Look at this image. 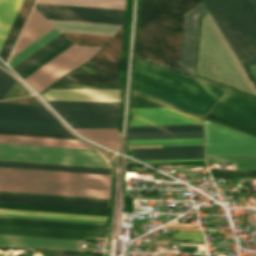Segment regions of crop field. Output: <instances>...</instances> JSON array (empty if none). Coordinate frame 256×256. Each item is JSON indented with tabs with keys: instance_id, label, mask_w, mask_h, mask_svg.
I'll return each mask as SVG.
<instances>
[{
	"instance_id": "8a807250",
	"label": "crop field",
	"mask_w": 256,
	"mask_h": 256,
	"mask_svg": "<svg viewBox=\"0 0 256 256\" xmlns=\"http://www.w3.org/2000/svg\"><path fill=\"white\" fill-rule=\"evenodd\" d=\"M225 88L136 59L132 94L203 118Z\"/></svg>"
},
{
	"instance_id": "ac0d7876",
	"label": "crop field",
	"mask_w": 256,
	"mask_h": 256,
	"mask_svg": "<svg viewBox=\"0 0 256 256\" xmlns=\"http://www.w3.org/2000/svg\"><path fill=\"white\" fill-rule=\"evenodd\" d=\"M199 0H144L136 57L177 71L182 15Z\"/></svg>"
},
{
	"instance_id": "34b2d1b8",
	"label": "crop field",
	"mask_w": 256,
	"mask_h": 256,
	"mask_svg": "<svg viewBox=\"0 0 256 256\" xmlns=\"http://www.w3.org/2000/svg\"><path fill=\"white\" fill-rule=\"evenodd\" d=\"M110 175L0 168V191L108 198Z\"/></svg>"
},
{
	"instance_id": "412701ff",
	"label": "crop field",
	"mask_w": 256,
	"mask_h": 256,
	"mask_svg": "<svg viewBox=\"0 0 256 256\" xmlns=\"http://www.w3.org/2000/svg\"><path fill=\"white\" fill-rule=\"evenodd\" d=\"M207 14L208 13L198 18L193 75L228 86L230 89L256 97V86L253 84L252 88V82L248 75L226 43L225 39L219 32L209 14ZM200 19L202 20L197 73L233 85L235 88L250 93L252 88V94L196 74Z\"/></svg>"
},
{
	"instance_id": "f4fd0767",
	"label": "crop field",
	"mask_w": 256,
	"mask_h": 256,
	"mask_svg": "<svg viewBox=\"0 0 256 256\" xmlns=\"http://www.w3.org/2000/svg\"><path fill=\"white\" fill-rule=\"evenodd\" d=\"M240 61L256 60V0H203Z\"/></svg>"
},
{
	"instance_id": "dd49c442",
	"label": "crop field",
	"mask_w": 256,
	"mask_h": 256,
	"mask_svg": "<svg viewBox=\"0 0 256 256\" xmlns=\"http://www.w3.org/2000/svg\"><path fill=\"white\" fill-rule=\"evenodd\" d=\"M0 161L108 168L98 153L0 146Z\"/></svg>"
},
{
	"instance_id": "e52e79f7",
	"label": "crop field",
	"mask_w": 256,
	"mask_h": 256,
	"mask_svg": "<svg viewBox=\"0 0 256 256\" xmlns=\"http://www.w3.org/2000/svg\"><path fill=\"white\" fill-rule=\"evenodd\" d=\"M69 124L118 125L122 102L47 101Z\"/></svg>"
},
{
	"instance_id": "d8731c3e",
	"label": "crop field",
	"mask_w": 256,
	"mask_h": 256,
	"mask_svg": "<svg viewBox=\"0 0 256 256\" xmlns=\"http://www.w3.org/2000/svg\"><path fill=\"white\" fill-rule=\"evenodd\" d=\"M99 49L74 44L24 80L39 93L61 75L87 62Z\"/></svg>"
},
{
	"instance_id": "5a996713",
	"label": "crop field",
	"mask_w": 256,
	"mask_h": 256,
	"mask_svg": "<svg viewBox=\"0 0 256 256\" xmlns=\"http://www.w3.org/2000/svg\"><path fill=\"white\" fill-rule=\"evenodd\" d=\"M207 155L256 154V138L206 121Z\"/></svg>"
},
{
	"instance_id": "3316defc",
	"label": "crop field",
	"mask_w": 256,
	"mask_h": 256,
	"mask_svg": "<svg viewBox=\"0 0 256 256\" xmlns=\"http://www.w3.org/2000/svg\"><path fill=\"white\" fill-rule=\"evenodd\" d=\"M47 19L123 24L124 10L36 4Z\"/></svg>"
},
{
	"instance_id": "28ad6ade",
	"label": "crop field",
	"mask_w": 256,
	"mask_h": 256,
	"mask_svg": "<svg viewBox=\"0 0 256 256\" xmlns=\"http://www.w3.org/2000/svg\"><path fill=\"white\" fill-rule=\"evenodd\" d=\"M211 113L256 128V99L227 90Z\"/></svg>"
},
{
	"instance_id": "d1516ede",
	"label": "crop field",
	"mask_w": 256,
	"mask_h": 256,
	"mask_svg": "<svg viewBox=\"0 0 256 256\" xmlns=\"http://www.w3.org/2000/svg\"><path fill=\"white\" fill-rule=\"evenodd\" d=\"M129 126L202 124V120L168 107L130 108Z\"/></svg>"
},
{
	"instance_id": "22f410ed",
	"label": "crop field",
	"mask_w": 256,
	"mask_h": 256,
	"mask_svg": "<svg viewBox=\"0 0 256 256\" xmlns=\"http://www.w3.org/2000/svg\"><path fill=\"white\" fill-rule=\"evenodd\" d=\"M205 12L206 10L200 2L183 15L179 70L192 74L197 18Z\"/></svg>"
},
{
	"instance_id": "cbeb9de0",
	"label": "crop field",
	"mask_w": 256,
	"mask_h": 256,
	"mask_svg": "<svg viewBox=\"0 0 256 256\" xmlns=\"http://www.w3.org/2000/svg\"><path fill=\"white\" fill-rule=\"evenodd\" d=\"M0 234L84 240V236L104 237L105 232L0 225Z\"/></svg>"
},
{
	"instance_id": "5142ce71",
	"label": "crop field",
	"mask_w": 256,
	"mask_h": 256,
	"mask_svg": "<svg viewBox=\"0 0 256 256\" xmlns=\"http://www.w3.org/2000/svg\"><path fill=\"white\" fill-rule=\"evenodd\" d=\"M138 160L204 158L203 145L131 149Z\"/></svg>"
},
{
	"instance_id": "d9b57169",
	"label": "crop field",
	"mask_w": 256,
	"mask_h": 256,
	"mask_svg": "<svg viewBox=\"0 0 256 256\" xmlns=\"http://www.w3.org/2000/svg\"><path fill=\"white\" fill-rule=\"evenodd\" d=\"M47 90L49 89L39 94L45 100L119 101L118 90L51 89L46 92ZM119 91L122 101V90Z\"/></svg>"
},
{
	"instance_id": "733c2abd",
	"label": "crop field",
	"mask_w": 256,
	"mask_h": 256,
	"mask_svg": "<svg viewBox=\"0 0 256 256\" xmlns=\"http://www.w3.org/2000/svg\"><path fill=\"white\" fill-rule=\"evenodd\" d=\"M122 29L123 26L112 40L90 61L96 69L115 80H117L116 74L119 58L122 56V52L120 51Z\"/></svg>"
},
{
	"instance_id": "4a817a6b",
	"label": "crop field",
	"mask_w": 256,
	"mask_h": 256,
	"mask_svg": "<svg viewBox=\"0 0 256 256\" xmlns=\"http://www.w3.org/2000/svg\"><path fill=\"white\" fill-rule=\"evenodd\" d=\"M0 118L58 122L43 106L0 103Z\"/></svg>"
},
{
	"instance_id": "bc2a9ffb",
	"label": "crop field",
	"mask_w": 256,
	"mask_h": 256,
	"mask_svg": "<svg viewBox=\"0 0 256 256\" xmlns=\"http://www.w3.org/2000/svg\"><path fill=\"white\" fill-rule=\"evenodd\" d=\"M52 28L54 27L34 9L11 57Z\"/></svg>"
},
{
	"instance_id": "214f88e0",
	"label": "crop field",
	"mask_w": 256,
	"mask_h": 256,
	"mask_svg": "<svg viewBox=\"0 0 256 256\" xmlns=\"http://www.w3.org/2000/svg\"><path fill=\"white\" fill-rule=\"evenodd\" d=\"M61 32L113 36L121 25L49 20Z\"/></svg>"
},
{
	"instance_id": "92a150f3",
	"label": "crop field",
	"mask_w": 256,
	"mask_h": 256,
	"mask_svg": "<svg viewBox=\"0 0 256 256\" xmlns=\"http://www.w3.org/2000/svg\"><path fill=\"white\" fill-rule=\"evenodd\" d=\"M0 129L60 133L70 135V133L60 123L53 122L0 119Z\"/></svg>"
},
{
	"instance_id": "dafd665d",
	"label": "crop field",
	"mask_w": 256,
	"mask_h": 256,
	"mask_svg": "<svg viewBox=\"0 0 256 256\" xmlns=\"http://www.w3.org/2000/svg\"><path fill=\"white\" fill-rule=\"evenodd\" d=\"M77 241L0 236V246H37L76 249Z\"/></svg>"
},
{
	"instance_id": "00972430",
	"label": "crop field",
	"mask_w": 256,
	"mask_h": 256,
	"mask_svg": "<svg viewBox=\"0 0 256 256\" xmlns=\"http://www.w3.org/2000/svg\"><path fill=\"white\" fill-rule=\"evenodd\" d=\"M1 143H15V144H29V145H44V146H58V147H72V148H86L78 140H65V139H51V138H36V137H21V136H7L0 135Z\"/></svg>"
},
{
	"instance_id": "a9b5d70f",
	"label": "crop field",
	"mask_w": 256,
	"mask_h": 256,
	"mask_svg": "<svg viewBox=\"0 0 256 256\" xmlns=\"http://www.w3.org/2000/svg\"><path fill=\"white\" fill-rule=\"evenodd\" d=\"M0 201L42 203V204H56V205H71V206H86V207H100V208H107V205H108V203H102V202L75 201V200H62V199H49V198H36V197H23V196H9V195H0Z\"/></svg>"
},
{
	"instance_id": "4177f3b9",
	"label": "crop field",
	"mask_w": 256,
	"mask_h": 256,
	"mask_svg": "<svg viewBox=\"0 0 256 256\" xmlns=\"http://www.w3.org/2000/svg\"><path fill=\"white\" fill-rule=\"evenodd\" d=\"M67 41L69 40L65 38L62 34L59 35L57 38L49 42L47 45L39 49L37 52L29 56L27 59H25L12 69L16 71L19 75L22 74L24 71L32 67L34 64L42 60L44 57L52 53L54 50L62 46Z\"/></svg>"
},
{
	"instance_id": "730fd06b",
	"label": "crop field",
	"mask_w": 256,
	"mask_h": 256,
	"mask_svg": "<svg viewBox=\"0 0 256 256\" xmlns=\"http://www.w3.org/2000/svg\"><path fill=\"white\" fill-rule=\"evenodd\" d=\"M33 0H24L23 4L14 20V23L6 37V40L0 50V58L6 61L10 50L15 42V39L21 29V26L26 18V15L31 7Z\"/></svg>"
},
{
	"instance_id": "eef30255",
	"label": "crop field",
	"mask_w": 256,
	"mask_h": 256,
	"mask_svg": "<svg viewBox=\"0 0 256 256\" xmlns=\"http://www.w3.org/2000/svg\"><path fill=\"white\" fill-rule=\"evenodd\" d=\"M23 0H2L0 4V48Z\"/></svg>"
},
{
	"instance_id": "ae1a2a85",
	"label": "crop field",
	"mask_w": 256,
	"mask_h": 256,
	"mask_svg": "<svg viewBox=\"0 0 256 256\" xmlns=\"http://www.w3.org/2000/svg\"><path fill=\"white\" fill-rule=\"evenodd\" d=\"M37 3L124 9L125 0H38Z\"/></svg>"
},
{
	"instance_id": "d3111659",
	"label": "crop field",
	"mask_w": 256,
	"mask_h": 256,
	"mask_svg": "<svg viewBox=\"0 0 256 256\" xmlns=\"http://www.w3.org/2000/svg\"><path fill=\"white\" fill-rule=\"evenodd\" d=\"M80 135L115 151L118 129H75Z\"/></svg>"
},
{
	"instance_id": "750c4746",
	"label": "crop field",
	"mask_w": 256,
	"mask_h": 256,
	"mask_svg": "<svg viewBox=\"0 0 256 256\" xmlns=\"http://www.w3.org/2000/svg\"><path fill=\"white\" fill-rule=\"evenodd\" d=\"M57 29V28H56ZM55 28L49 31L47 34L33 42L31 45L17 53L15 56L10 58L8 65L12 68L22 60H24L26 57L34 53L36 50L44 46L46 43L54 39L56 36L61 34L59 31H57Z\"/></svg>"
},
{
	"instance_id": "bd1437ed",
	"label": "crop field",
	"mask_w": 256,
	"mask_h": 256,
	"mask_svg": "<svg viewBox=\"0 0 256 256\" xmlns=\"http://www.w3.org/2000/svg\"><path fill=\"white\" fill-rule=\"evenodd\" d=\"M203 137L202 131L128 133V140Z\"/></svg>"
},
{
	"instance_id": "1d83c4d3",
	"label": "crop field",
	"mask_w": 256,
	"mask_h": 256,
	"mask_svg": "<svg viewBox=\"0 0 256 256\" xmlns=\"http://www.w3.org/2000/svg\"><path fill=\"white\" fill-rule=\"evenodd\" d=\"M0 214L56 217V218H70V219H85V220H99V221H106V219H107V217H101V216L74 215V214H61V213H48V212H35V211H22V210H8V209H0Z\"/></svg>"
},
{
	"instance_id": "120bbe31",
	"label": "crop field",
	"mask_w": 256,
	"mask_h": 256,
	"mask_svg": "<svg viewBox=\"0 0 256 256\" xmlns=\"http://www.w3.org/2000/svg\"><path fill=\"white\" fill-rule=\"evenodd\" d=\"M207 163H237V169H256V155L206 156Z\"/></svg>"
},
{
	"instance_id": "d32e631a",
	"label": "crop field",
	"mask_w": 256,
	"mask_h": 256,
	"mask_svg": "<svg viewBox=\"0 0 256 256\" xmlns=\"http://www.w3.org/2000/svg\"><path fill=\"white\" fill-rule=\"evenodd\" d=\"M106 77L104 75H65L55 83H117Z\"/></svg>"
},
{
	"instance_id": "5866460e",
	"label": "crop field",
	"mask_w": 256,
	"mask_h": 256,
	"mask_svg": "<svg viewBox=\"0 0 256 256\" xmlns=\"http://www.w3.org/2000/svg\"><path fill=\"white\" fill-rule=\"evenodd\" d=\"M0 208L107 216V212H100V211H85V210L41 208V207L12 206V205H0Z\"/></svg>"
},
{
	"instance_id": "028f5c9d",
	"label": "crop field",
	"mask_w": 256,
	"mask_h": 256,
	"mask_svg": "<svg viewBox=\"0 0 256 256\" xmlns=\"http://www.w3.org/2000/svg\"><path fill=\"white\" fill-rule=\"evenodd\" d=\"M202 130V125L128 127V132Z\"/></svg>"
},
{
	"instance_id": "e1f06a70",
	"label": "crop field",
	"mask_w": 256,
	"mask_h": 256,
	"mask_svg": "<svg viewBox=\"0 0 256 256\" xmlns=\"http://www.w3.org/2000/svg\"><path fill=\"white\" fill-rule=\"evenodd\" d=\"M0 221L105 229L106 225L0 218Z\"/></svg>"
},
{
	"instance_id": "0bd39190",
	"label": "crop field",
	"mask_w": 256,
	"mask_h": 256,
	"mask_svg": "<svg viewBox=\"0 0 256 256\" xmlns=\"http://www.w3.org/2000/svg\"><path fill=\"white\" fill-rule=\"evenodd\" d=\"M63 34H65L72 41L77 42L79 44H85V45L104 46L105 43L111 38L106 36H93V35L68 34V33H63Z\"/></svg>"
},
{
	"instance_id": "b80d0937",
	"label": "crop field",
	"mask_w": 256,
	"mask_h": 256,
	"mask_svg": "<svg viewBox=\"0 0 256 256\" xmlns=\"http://www.w3.org/2000/svg\"><path fill=\"white\" fill-rule=\"evenodd\" d=\"M205 119L256 136V129L220 116L209 113Z\"/></svg>"
},
{
	"instance_id": "c035e120",
	"label": "crop field",
	"mask_w": 256,
	"mask_h": 256,
	"mask_svg": "<svg viewBox=\"0 0 256 256\" xmlns=\"http://www.w3.org/2000/svg\"><path fill=\"white\" fill-rule=\"evenodd\" d=\"M0 164L1 165H15V166H30V167H45V168H59V169H74V170H89V171L110 172L109 169H102V168L73 167V166L44 165V164H29V163H15V162H0Z\"/></svg>"
},
{
	"instance_id": "c21b1889",
	"label": "crop field",
	"mask_w": 256,
	"mask_h": 256,
	"mask_svg": "<svg viewBox=\"0 0 256 256\" xmlns=\"http://www.w3.org/2000/svg\"><path fill=\"white\" fill-rule=\"evenodd\" d=\"M48 88L122 89L120 84H53Z\"/></svg>"
},
{
	"instance_id": "03da06ac",
	"label": "crop field",
	"mask_w": 256,
	"mask_h": 256,
	"mask_svg": "<svg viewBox=\"0 0 256 256\" xmlns=\"http://www.w3.org/2000/svg\"><path fill=\"white\" fill-rule=\"evenodd\" d=\"M213 178L256 177V171H210Z\"/></svg>"
},
{
	"instance_id": "b54c1fbb",
	"label": "crop field",
	"mask_w": 256,
	"mask_h": 256,
	"mask_svg": "<svg viewBox=\"0 0 256 256\" xmlns=\"http://www.w3.org/2000/svg\"><path fill=\"white\" fill-rule=\"evenodd\" d=\"M73 43H71L70 41L67 42L65 45H63L62 47H60L59 49H57L55 52H53L52 54H50L49 56H47L45 59H43L42 61H40L39 63H37L35 66H33L32 68H30L29 70H27L25 73H23L22 75H20L23 79L26 78L28 75H30L31 73H33L34 71H36L38 68H40L41 66H43L45 63H47L48 61H50L51 59H53L55 56H57L58 54H60L62 51H64L65 49H67L68 47H70Z\"/></svg>"
},
{
	"instance_id": "5d738f31",
	"label": "crop field",
	"mask_w": 256,
	"mask_h": 256,
	"mask_svg": "<svg viewBox=\"0 0 256 256\" xmlns=\"http://www.w3.org/2000/svg\"><path fill=\"white\" fill-rule=\"evenodd\" d=\"M0 194H10V195H23V196H36V197H49V198H62V199H76V200H89V201L108 202V199H101V198H86V197L42 195V194L13 193V192H0Z\"/></svg>"
},
{
	"instance_id": "d23c7cc5",
	"label": "crop field",
	"mask_w": 256,
	"mask_h": 256,
	"mask_svg": "<svg viewBox=\"0 0 256 256\" xmlns=\"http://www.w3.org/2000/svg\"><path fill=\"white\" fill-rule=\"evenodd\" d=\"M171 238L203 240L201 232L180 231L172 233Z\"/></svg>"
},
{
	"instance_id": "425ffa30",
	"label": "crop field",
	"mask_w": 256,
	"mask_h": 256,
	"mask_svg": "<svg viewBox=\"0 0 256 256\" xmlns=\"http://www.w3.org/2000/svg\"><path fill=\"white\" fill-rule=\"evenodd\" d=\"M0 204H12V205H27V206H42V207H56V208H71V209H86V210H100V211H107V209H100V208H85V207L56 206V205H41V204L12 203V202H0Z\"/></svg>"
},
{
	"instance_id": "25e5ab78",
	"label": "crop field",
	"mask_w": 256,
	"mask_h": 256,
	"mask_svg": "<svg viewBox=\"0 0 256 256\" xmlns=\"http://www.w3.org/2000/svg\"><path fill=\"white\" fill-rule=\"evenodd\" d=\"M0 134H14V135H28V136H42V137H56V138H70L75 139L72 136L65 135H52V134H39V133H26V132H13V131H0Z\"/></svg>"
},
{
	"instance_id": "73cf0c24",
	"label": "crop field",
	"mask_w": 256,
	"mask_h": 256,
	"mask_svg": "<svg viewBox=\"0 0 256 256\" xmlns=\"http://www.w3.org/2000/svg\"><path fill=\"white\" fill-rule=\"evenodd\" d=\"M0 217H12V218H26V219H41V220H56V221H70V222H85V223H99V224H103V222H96V221L54 219V218H40V217H26V216H12V215H0ZM104 224H106V222H104Z\"/></svg>"
},
{
	"instance_id": "89e229c0",
	"label": "crop field",
	"mask_w": 256,
	"mask_h": 256,
	"mask_svg": "<svg viewBox=\"0 0 256 256\" xmlns=\"http://www.w3.org/2000/svg\"><path fill=\"white\" fill-rule=\"evenodd\" d=\"M93 68L89 65V63H86L67 74H101Z\"/></svg>"
},
{
	"instance_id": "1f2cbd36",
	"label": "crop field",
	"mask_w": 256,
	"mask_h": 256,
	"mask_svg": "<svg viewBox=\"0 0 256 256\" xmlns=\"http://www.w3.org/2000/svg\"><path fill=\"white\" fill-rule=\"evenodd\" d=\"M148 106H162V105L132 96L130 101V107H148Z\"/></svg>"
},
{
	"instance_id": "dbb93151",
	"label": "crop field",
	"mask_w": 256,
	"mask_h": 256,
	"mask_svg": "<svg viewBox=\"0 0 256 256\" xmlns=\"http://www.w3.org/2000/svg\"><path fill=\"white\" fill-rule=\"evenodd\" d=\"M184 141H203V138L166 139V140H140V141H128V142L129 143H147V142H184Z\"/></svg>"
},
{
	"instance_id": "0fb4a251",
	"label": "crop field",
	"mask_w": 256,
	"mask_h": 256,
	"mask_svg": "<svg viewBox=\"0 0 256 256\" xmlns=\"http://www.w3.org/2000/svg\"><path fill=\"white\" fill-rule=\"evenodd\" d=\"M15 81L16 79H14L12 76L10 75L8 76V78L0 87V100L6 94V92L10 89V87L14 84Z\"/></svg>"
},
{
	"instance_id": "1d79db26",
	"label": "crop field",
	"mask_w": 256,
	"mask_h": 256,
	"mask_svg": "<svg viewBox=\"0 0 256 256\" xmlns=\"http://www.w3.org/2000/svg\"><path fill=\"white\" fill-rule=\"evenodd\" d=\"M2 146H17V147H32V148H46V149H61V150H76V151H90L95 152L94 150L86 149H72V148H58V147H44V146H29V145H15V144H1Z\"/></svg>"
},
{
	"instance_id": "9d1cf04e",
	"label": "crop field",
	"mask_w": 256,
	"mask_h": 256,
	"mask_svg": "<svg viewBox=\"0 0 256 256\" xmlns=\"http://www.w3.org/2000/svg\"><path fill=\"white\" fill-rule=\"evenodd\" d=\"M252 64H256V61L251 62V63L244 64V65H242V66H243L244 69L246 70V72H247V74L249 75V77L251 78V80H252V81L254 82V84L256 85V80H255V78H256V65L249 66V65H252ZM247 66H249V69L251 70V72L253 73V75H254L255 78L253 77V75L251 74V72H250V70L248 69Z\"/></svg>"
},
{
	"instance_id": "447ae74e",
	"label": "crop field",
	"mask_w": 256,
	"mask_h": 256,
	"mask_svg": "<svg viewBox=\"0 0 256 256\" xmlns=\"http://www.w3.org/2000/svg\"><path fill=\"white\" fill-rule=\"evenodd\" d=\"M0 224H11V225H25V226H40V227H55V228H69V229H84V230H98V231H105V230H99V229H86V228H73V227L47 226V225H33V224H20V223H7V222H0Z\"/></svg>"
},
{
	"instance_id": "0765c3eb",
	"label": "crop field",
	"mask_w": 256,
	"mask_h": 256,
	"mask_svg": "<svg viewBox=\"0 0 256 256\" xmlns=\"http://www.w3.org/2000/svg\"><path fill=\"white\" fill-rule=\"evenodd\" d=\"M147 144H162V146H172V145L202 144V142H185V143H147ZM129 145H146V144H129Z\"/></svg>"
},
{
	"instance_id": "db79e9e6",
	"label": "crop field",
	"mask_w": 256,
	"mask_h": 256,
	"mask_svg": "<svg viewBox=\"0 0 256 256\" xmlns=\"http://www.w3.org/2000/svg\"><path fill=\"white\" fill-rule=\"evenodd\" d=\"M72 128H118V126L71 125Z\"/></svg>"
},
{
	"instance_id": "7b73153f",
	"label": "crop field",
	"mask_w": 256,
	"mask_h": 256,
	"mask_svg": "<svg viewBox=\"0 0 256 256\" xmlns=\"http://www.w3.org/2000/svg\"><path fill=\"white\" fill-rule=\"evenodd\" d=\"M0 167L29 168V169H44V168L15 167V166H0ZM44 170H59V169H44ZM59 171H74V170H59ZM74 172H88V171H74ZM88 173H103V172H88ZM103 174H110V173H103Z\"/></svg>"
},
{
	"instance_id": "78b8030e",
	"label": "crop field",
	"mask_w": 256,
	"mask_h": 256,
	"mask_svg": "<svg viewBox=\"0 0 256 256\" xmlns=\"http://www.w3.org/2000/svg\"><path fill=\"white\" fill-rule=\"evenodd\" d=\"M174 161H204V159H188V160H156V161H143V162H174Z\"/></svg>"
},
{
	"instance_id": "0f1d7ab4",
	"label": "crop field",
	"mask_w": 256,
	"mask_h": 256,
	"mask_svg": "<svg viewBox=\"0 0 256 256\" xmlns=\"http://www.w3.org/2000/svg\"><path fill=\"white\" fill-rule=\"evenodd\" d=\"M62 255L80 256V251L62 250Z\"/></svg>"
},
{
	"instance_id": "e1d0b9f6",
	"label": "crop field",
	"mask_w": 256,
	"mask_h": 256,
	"mask_svg": "<svg viewBox=\"0 0 256 256\" xmlns=\"http://www.w3.org/2000/svg\"><path fill=\"white\" fill-rule=\"evenodd\" d=\"M197 247L180 246L179 251L196 252Z\"/></svg>"
},
{
	"instance_id": "ae633e8c",
	"label": "crop field",
	"mask_w": 256,
	"mask_h": 256,
	"mask_svg": "<svg viewBox=\"0 0 256 256\" xmlns=\"http://www.w3.org/2000/svg\"><path fill=\"white\" fill-rule=\"evenodd\" d=\"M190 163H204V162H175V163H148L150 165H163V164H190Z\"/></svg>"
},
{
	"instance_id": "d14b1444",
	"label": "crop field",
	"mask_w": 256,
	"mask_h": 256,
	"mask_svg": "<svg viewBox=\"0 0 256 256\" xmlns=\"http://www.w3.org/2000/svg\"><path fill=\"white\" fill-rule=\"evenodd\" d=\"M9 74L0 70V85L3 83V81L7 78Z\"/></svg>"
},
{
	"instance_id": "c39391a2",
	"label": "crop field",
	"mask_w": 256,
	"mask_h": 256,
	"mask_svg": "<svg viewBox=\"0 0 256 256\" xmlns=\"http://www.w3.org/2000/svg\"><path fill=\"white\" fill-rule=\"evenodd\" d=\"M0 2H1V0H0Z\"/></svg>"
}]
</instances>
